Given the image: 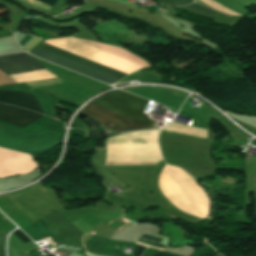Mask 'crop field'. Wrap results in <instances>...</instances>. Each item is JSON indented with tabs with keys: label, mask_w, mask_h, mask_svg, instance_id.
Segmentation results:
<instances>
[{
	"label": "crop field",
	"mask_w": 256,
	"mask_h": 256,
	"mask_svg": "<svg viewBox=\"0 0 256 256\" xmlns=\"http://www.w3.org/2000/svg\"><path fill=\"white\" fill-rule=\"evenodd\" d=\"M147 103L148 100L121 91L90 104L84 111L120 131L147 129L154 123L141 113Z\"/></svg>",
	"instance_id": "8a807250"
},
{
	"label": "crop field",
	"mask_w": 256,
	"mask_h": 256,
	"mask_svg": "<svg viewBox=\"0 0 256 256\" xmlns=\"http://www.w3.org/2000/svg\"><path fill=\"white\" fill-rule=\"evenodd\" d=\"M29 53L108 84H113L127 75L125 72L46 42L36 50L32 49Z\"/></svg>",
	"instance_id": "ac0d7876"
},
{
	"label": "crop field",
	"mask_w": 256,
	"mask_h": 256,
	"mask_svg": "<svg viewBox=\"0 0 256 256\" xmlns=\"http://www.w3.org/2000/svg\"><path fill=\"white\" fill-rule=\"evenodd\" d=\"M44 69L26 53L0 57V71L4 76Z\"/></svg>",
	"instance_id": "34b2d1b8"
},
{
	"label": "crop field",
	"mask_w": 256,
	"mask_h": 256,
	"mask_svg": "<svg viewBox=\"0 0 256 256\" xmlns=\"http://www.w3.org/2000/svg\"><path fill=\"white\" fill-rule=\"evenodd\" d=\"M41 116L42 115L32 111L0 104V120L21 128L25 127Z\"/></svg>",
	"instance_id": "412701ff"
},
{
	"label": "crop field",
	"mask_w": 256,
	"mask_h": 256,
	"mask_svg": "<svg viewBox=\"0 0 256 256\" xmlns=\"http://www.w3.org/2000/svg\"><path fill=\"white\" fill-rule=\"evenodd\" d=\"M0 102L30 109L42 114L35 97L26 93L0 91Z\"/></svg>",
	"instance_id": "f4fd0767"
},
{
	"label": "crop field",
	"mask_w": 256,
	"mask_h": 256,
	"mask_svg": "<svg viewBox=\"0 0 256 256\" xmlns=\"http://www.w3.org/2000/svg\"><path fill=\"white\" fill-rule=\"evenodd\" d=\"M182 8H185V9H188L190 11L196 12L198 14H201V15H204V16L215 19V17L210 15L214 10L213 11L208 10V9H206V8L200 6V5H197L195 3L190 5V6H186V7H182ZM214 13H216V12H214ZM217 14H219V13H217ZM219 15H222V14H219ZM222 16H225V15H222ZM225 17L229 18V16H225Z\"/></svg>",
	"instance_id": "dd49c442"
},
{
	"label": "crop field",
	"mask_w": 256,
	"mask_h": 256,
	"mask_svg": "<svg viewBox=\"0 0 256 256\" xmlns=\"http://www.w3.org/2000/svg\"><path fill=\"white\" fill-rule=\"evenodd\" d=\"M141 239H144V240L151 241V242H154V243L162 245V242H159V241H156V240L144 237V236H142ZM141 239H139V241L137 242L138 244H141V245H144V246H147V247L149 246V247H152L154 249H160L162 247L160 245H157V244H154V243H150V242H147V241H144V240H141Z\"/></svg>",
	"instance_id": "e52e79f7"
},
{
	"label": "crop field",
	"mask_w": 256,
	"mask_h": 256,
	"mask_svg": "<svg viewBox=\"0 0 256 256\" xmlns=\"http://www.w3.org/2000/svg\"><path fill=\"white\" fill-rule=\"evenodd\" d=\"M17 237H19L24 243L30 241V239L19 229L13 232Z\"/></svg>",
	"instance_id": "d8731c3e"
},
{
	"label": "crop field",
	"mask_w": 256,
	"mask_h": 256,
	"mask_svg": "<svg viewBox=\"0 0 256 256\" xmlns=\"http://www.w3.org/2000/svg\"><path fill=\"white\" fill-rule=\"evenodd\" d=\"M145 249H146V247L137 245V253L134 256H140L144 252Z\"/></svg>",
	"instance_id": "5a996713"
},
{
	"label": "crop field",
	"mask_w": 256,
	"mask_h": 256,
	"mask_svg": "<svg viewBox=\"0 0 256 256\" xmlns=\"http://www.w3.org/2000/svg\"><path fill=\"white\" fill-rule=\"evenodd\" d=\"M38 1H41V2H43V3H45V4H48V5L53 6L54 3H55L57 0H38Z\"/></svg>",
	"instance_id": "3316defc"
},
{
	"label": "crop field",
	"mask_w": 256,
	"mask_h": 256,
	"mask_svg": "<svg viewBox=\"0 0 256 256\" xmlns=\"http://www.w3.org/2000/svg\"><path fill=\"white\" fill-rule=\"evenodd\" d=\"M154 256H170V255H165V254L157 253V254H155Z\"/></svg>",
	"instance_id": "28ad6ade"
},
{
	"label": "crop field",
	"mask_w": 256,
	"mask_h": 256,
	"mask_svg": "<svg viewBox=\"0 0 256 256\" xmlns=\"http://www.w3.org/2000/svg\"><path fill=\"white\" fill-rule=\"evenodd\" d=\"M251 144L256 145V140H252Z\"/></svg>",
	"instance_id": "d1516ede"
}]
</instances>
